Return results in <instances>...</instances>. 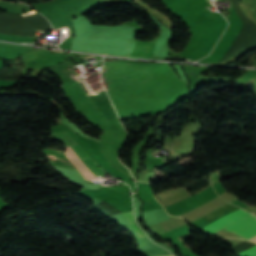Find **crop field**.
I'll use <instances>...</instances> for the list:
<instances>
[{
	"instance_id": "8",
	"label": "crop field",
	"mask_w": 256,
	"mask_h": 256,
	"mask_svg": "<svg viewBox=\"0 0 256 256\" xmlns=\"http://www.w3.org/2000/svg\"><path fill=\"white\" fill-rule=\"evenodd\" d=\"M249 240L253 241V242H256V235L253 236L252 238H250Z\"/></svg>"
},
{
	"instance_id": "2",
	"label": "crop field",
	"mask_w": 256,
	"mask_h": 256,
	"mask_svg": "<svg viewBox=\"0 0 256 256\" xmlns=\"http://www.w3.org/2000/svg\"><path fill=\"white\" fill-rule=\"evenodd\" d=\"M74 150L79 154V156L85 161V163L90 167V169L95 173L97 177L104 175L102 169H100L88 156V154L84 151V149L74 144L72 145ZM71 146L66 148V156L68 159L77 167V169L84 175L86 179H94L97 178L94 173L89 169V167L83 162V160L78 156V154L73 150Z\"/></svg>"
},
{
	"instance_id": "5",
	"label": "crop field",
	"mask_w": 256,
	"mask_h": 256,
	"mask_svg": "<svg viewBox=\"0 0 256 256\" xmlns=\"http://www.w3.org/2000/svg\"><path fill=\"white\" fill-rule=\"evenodd\" d=\"M240 208L228 203L227 205L203 216L202 218L206 219L207 221L209 222H214L215 220L219 219L220 217L226 215V214H229L235 210H238Z\"/></svg>"
},
{
	"instance_id": "3",
	"label": "crop field",
	"mask_w": 256,
	"mask_h": 256,
	"mask_svg": "<svg viewBox=\"0 0 256 256\" xmlns=\"http://www.w3.org/2000/svg\"><path fill=\"white\" fill-rule=\"evenodd\" d=\"M224 229L248 239L256 234V217L254 215H250L225 227Z\"/></svg>"
},
{
	"instance_id": "10",
	"label": "crop field",
	"mask_w": 256,
	"mask_h": 256,
	"mask_svg": "<svg viewBox=\"0 0 256 256\" xmlns=\"http://www.w3.org/2000/svg\"><path fill=\"white\" fill-rule=\"evenodd\" d=\"M169 256H172V255H169Z\"/></svg>"
},
{
	"instance_id": "9",
	"label": "crop field",
	"mask_w": 256,
	"mask_h": 256,
	"mask_svg": "<svg viewBox=\"0 0 256 256\" xmlns=\"http://www.w3.org/2000/svg\"><path fill=\"white\" fill-rule=\"evenodd\" d=\"M3 66V62L2 61H0V68Z\"/></svg>"
},
{
	"instance_id": "7",
	"label": "crop field",
	"mask_w": 256,
	"mask_h": 256,
	"mask_svg": "<svg viewBox=\"0 0 256 256\" xmlns=\"http://www.w3.org/2000/svg\"><path fill=\"white\" fill-rule=\"evenodd\" d=\"M254 255H256V246L238 254V256H254Z\"/></svg>"
},
{
	"instance_id": "6",
	"label": "crop field",
	"mask_w": 256,
	"mask_h": 256,
	"mask_svg": "<svg viewBox=\"0 0 256 256\" xmlns=\"http://www.w3.org/2000/svg\"><path fill=\"white\" fill-rule=\"evenodd\" d=\"M123 215L125 216V218L128 220V222L130 223V225L133 227V229L137 232V234L139 235V237H142L143 234L141 233V231L138 229V227L136 226L135 222H134V216H133V212H124Z\"/></svg>"
},
{
	"instance_id": "4",
	"label": "crop field",
	"mask_w": 256,
	"mask_h": 256,
	"mask_svg": "<svg viewBox=\"0 0 256 256\" xmlns=\"http://www.w3.org/2000/svg\"><path fill=\"white\" fill-rule=\"evenodd\" d=\"M250 213L240 209L230 215H227L221 219H219L218 221H216L215 223L203 228L204 231L214 235L218 230L222 229L223 227L249 215Z\"/></svg>"
},
{
	"instance_id": "1",
	"label": "crop field",
	"mask_w": 256,
	"mask_h": 256,
	"mask_svg": "<svg viewBox=\"0 0 256 256\" xmlns=\"http://www.w3.org/2000/svg\"><path fill=\"white\" fill-rule=\"evenodd\" d=\"M150 65L104 61L105 80L142 83Z\"/></svg>"
}]
</instances>
